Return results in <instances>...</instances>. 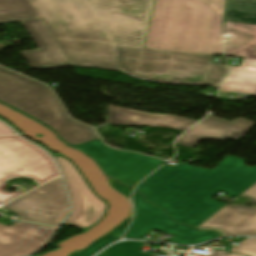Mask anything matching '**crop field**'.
<instances>
[{
  "label": "crop field",
  "instance_id": "17",
  "mask_svg": "<svg viewBox=\"0 0 256 256\" xmlns=\"http://www.w3.org/2000/svg\"><path fill=\"white\" fill-rule=\"evenodd\" d=\"M36 17L28 0H0V23Z\"/></svg>",
  "mask_w": 256,
  "mask_h": 256
},
{
  "label": "crop field",
  "instance_id": "5",
  "mask_svg": "<svg viewBox=\"0 0 256 256\" xmlns=\"http://www.w3.org/2000/svg\"><path fill=\"white\" fill-rule=\"evenodd\" d=\"M12 133L14 132L0 123V135ZM58 175L54 162L43 150L17 135L0 136V204L22 194L21 191H4L7 185L5 181L25 177L40 185Z\"/></svg>",
  "mask_w": 256,
  "mask_h": 256
},
{
  "label": "crop field",
  "instance_id": "13",
  "mask_svg": "<svg viewBox=\"0 0 256 256\" xmlns=\"http://www.w3.org/2000/svg\"><path fill=\"white\" fill-rule=\"evenodd\" d=\"M241 196L256 203V183ZM200 228L218 229L224 236L256 235V208L227 205Z\"/></svg>",
  "mask_w": 256,
  "mask_h": 256
},
{
  "label": "crop field",
  "instance_id": "16",
  "mask_svg": "<svg viewBox=\"0 0 256 256\" xmlns=\"http://www.w3.org/2000/svg\"><path fill=\"white\" fill-rule=\"evenodd\" d=\"M161 116L163 115L109 106L108 124L150 126Z\"/></svg>",
  "mask_w": 256,
  "mask_h": 256
},
{
  "label": "crop field",
  "instance_id": "3",
  "mask_svg": "<svg viewBox=\"0 0 256 256\" xmlns=\"http://www.w3.org/2000/svg\"><path fill=\"white\" fill-rule=\"evenodd\" d=\"M249 168L244 159L228 155L213 171L183 164L164 165L137 189L180 222Z\"/></svg>",
  "mask_w": 256,
  "mask_h": 256
},
{
  "label": "crop field",
  "instance_id": "23",
  "mask_svg": "<svg viewBox=\"0 0 256 256\" xmlns=\"http://www.w3.org/2000/svg\"><path fill=\"white\" fill-rule=\"evenodd\" d=\"M87 2V1H86ZM88 3V2H87ZM90 6V5H89ZM95 14V13H94ZM96 16V15H95ZM96 18H97V16H96ZM98 19V18H97ZM98 21H99V19H98ZM100 22V21H99ZM100 24H101V22H100ZM102 25V24H101ZM102 27L104 28V26L102 25ZM104 30L106 31V29L104 28ZM106 33L108 34V32L106 31ZM108 36H109V34H108ZM110 37V36H109ZM111 38V37H110ZM112 40V39H111ZM114 43V42H113ZM116 46V45H115ZM116 50H117V48H116ZM117 55H118V53H117ZM118 61H119V58H118ZM119 67H120V64H119ZM120 70H121V68H120Z\"/></svg>",
  "mask_w": 256,
  "mask_h": 256
},
{
  "label": "crop field",
  "instance_id": "1",
  "mask_svg": "<svg viewBox=\"0 0 256 256\" xmlns=\"http://www.w3.org/2000/svg\"><path fill=\"white\" fill-rule=\"evenodd\" d=\"M87 1L116 43L123 71L156 82L216 87L227 75L226 65L209 63V55L142 48L153 0ZM29 2L71 65L119 70L115 46L85 0Z\"/></svg>",
  "mask_w": 256,
  "mask_h": 256
},
{
  "label": "crop field",
  "instance_id": "7",
  "mask_svg": "<svg viewBox=\"0 0 256 256\" xmlns=\"http://www.w3.org/2000/svg\"><path fill=\"white\" fill-rule=\"evenodd\" d=\"M32 221L58 226L68 205L60 178L33 190L3 206Z\"/></svg>",
  "mask_w": 256,
  "mask_h": 256
},
{
  "label": "crop field",
  "instance_id": "18",
  "mask_svg": "<svg viewBox=\"0 0 256 256\" xmlns=\"http://www.w3.org/2000/svg\"><path fill=\"white\" fill-rule=\"evenodd\" d=\"M256 182V166L249 169L242 176L232 182L229 186H227L222 191L228 193L232 197H236L240 195L243 191L249 188Z\"/></svg>",
  "mask_w": 256,
  "mask_h": 256
},
{
  "label": "crop field",
  "instance_id": "24",
  "mask_svg": "<svg viewBox=\"0 0 256 256\" xmlns=\"http://www.w3.org/2000/svg\"><path fill=\"white\" fill-rule=\"evenodd\" d=\"M99 256H109V255H106V254H104V253H101Z\"/></svg>",
  "mask_w": 256,
  "mask_h": 256
},
{
  "label": "crop field",
  "instance_id": "12",
  "mask_svg": "<svg viewBox=\"0 0 256 256\" xmlns=\"http://www.w3.org/2000/svg\"><path fill=\"white\" fill-rule=\"evenodd\" d=\"M39 49L22 52L33 69L71 66L40 18L21 21Z\"/></svg>",
  "mask_w": 256,
  "mask_h": 256
},
{
  "label": "crop field",
  "instance_id": "14",
  "mask_svg": "<svg viewBox=\"0 0 256 256\" xmlns=\"http://www.w3.org/2000/svg\"><path fill=\"white\" fill-rule=\"evenodd\" d=\"M254 125L255 123L243 118L231 123L218 117L208 116L179 138L176 143L192 147L197 142L207 139L230 138L239 141Z\"/></svg>",
  "mask_w": 256,
  "mask_h": 256
},
{
  "label": "crop field",
  "instance_id": "9",
  "mask_svg": "<svg viewBox=\"0 0 256 256\" xmlns=\"http://www.w3.org/2000/svg\"><path fill=\"white\" fill-rule=\"evenodd\" d=\"M135 219L129 226L125 238L141 239L150 229L176 235L170 242L196 244L217 237L215 232H196L192 227L172 222L160 209L143 202L137 192H133Z\"/></svg>",
  "mask_w": 256,
  "mask_h": 256
},
{
  "label": "crop field",
  "instance_id": "6",
  "mask_svg": "<svg viewBox=\"0 0 256 256\" xmlns=\"http://www.w3.org/2000/svg\"><path fill=\"white\" fill-rule=\"evenodd\" d=\"M90 154L107 176H113L127 185H135L164 161L106 147L100 139L75 146Z\"/></svg>",
  "mask_w": 256,
  "mask_h": 256
},
{
  "label": "crop field",
  "instance_id": "4",
  "mask_svg": "<svg viewBox=\"0 0 256 256\" xmlns=\"http://www.w3.org/2000/svg\"><path fill=\"white\" fill-rule=\"evenodd\" d=\"M50 90L0 67V101L45 123L56 131L61 140L72 146L98 139L92 128L67 117Z\"/></svg>",
  "mask_w": 256,
  "mask_h": 256
},
{
  "label": "crop field",
  "instance_id": "11",
  "mask_svg": "<svg viewBox=\"0 0 256 256\" xmlns=\"http://www.w3.org/2000/svg\"><path fill=\"white\" fill-rule=\"evenodd\" d=\"M56 229L19 221L0 224V256H26L44 246Z\"/></svg>",
  "mask_w": 256,
  "mask_h": 256
},
{
  "label": "crop field",
  "instance_id": "22",
  "mask_svg": "<svg viewBox=\"0 0 256 256\" xmlns=\"http://www.w3.org/2000/svg\"><path fill=\"white\" fill-rule=\"evenodd\" d=\"M211 256H237V255L227 254L226 251H213Z\"/></svg>",
  "mask_w": 256,
  "mask_h": 256
},
{
  "label": "crop field",
  "instance_id": "10",
  "mask_svg": "<svg viewBox=\"0 0 256 256\" xmlns=\"http://www.w3.org/2000/svg\"><path fill=\"white\" fill-rule=\"evenodd\" d=\"M55 158L64 175L73 205V210L64 224L84 230L105 214L107 204L93 194L70 161L60 156Z\"/></svg>",
  "mask_w": 256,
  "mask_h": 256
},
{
  "label": "crop field",
  "instance_id": "19",
  "mask_svg": "<svg viewBox=\"0 0 256 256\" xmlns=\"http://www.w3.org/2000/svg\"><path fill=\"white\" fill-rule=\"evenodd\" d=\"M224 204L209 200L195 212L185 218L181 223H185L192 226H198L202 221L208 218L210 215L218 211Z\"/></svg>",
  "mask_w": 256,
  "mask_h": 256
},
{
  "label": "crop field",
  "instance_id": "8",
  "mask_svg": "<svg viewBox=\"0 0 256 256\" xmlns=\"http://www.w3.org/2000/svg\"><path fill=\"white\" fill-rule=\"evenodd\" d=\"M226 55L256 59V0H226Z\"/></svg>",
  "mask_w": 256,
  "mask_h": 256
},
{
  "label": "crop field",
  "instance_id": "15",
  "mask_svg": "<svg viewBox=\"0 0 256 256\" xmlns=\"http://www.w3.org/2000/svg\"><path fill=\"white\" fill-rule=\"evenodd\" d=\"M230 70L220 91L256 95V60L243 59L240 67L230 66Z\"/></svg>",
  "mask_w": 256,
  "mask_h": 256
},
{
  "label": "crop field",
  "instance_id": "21",
  "mask_svg": "<svg viewBox=\"0 0 256 256\" xmlns=\"http://www.w3.org/2000/svg\"><path fill=\"white\" fill-rule=\"evenodd\" d=\"M230 252L246 254L248 256H256V239H247L236 247L232 248Z\"/></svg>",
  "mask_w": 256,
  "mask_h": 256
},
{
  "label": "crop field",
  "instance_id": "20",
  "mask_svg": "<svg viewBox=\"0 0 256 256\" xmlns=\"http://www.w3.org/2000/svg\"><path fill=\"white\" fill-rule=\"evenodd\" d=\"M195 122L196 121L194 120H190V119H186V118H182L174 115H164L151 126L168 127V128L184 131L188 127L193 125Z\"/></svg>",
  "mask_w": 256,
  "mask_h": 256
},
{
  "label": "crop field",
  "instance_id": "2",
  "mask_svg": "<svg viewBox=\"0 0 256 256\" xmlns=\"http://www.w3.org/2000/svg\"><path fill=\"white\" fill-rule=\"evenodd\" d=\"M223 0H155L145 47L223 55Z\"/></svg>",
  "mask_w": 256,
  "mask_h": 256
}]
</instances>
